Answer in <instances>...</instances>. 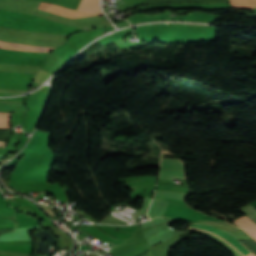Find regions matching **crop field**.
I'll list each match as a JSON object with an SVG mask.
<instances>
[{"instance_id": "8a807250", "label": "crop field", "mask_w": 256, "mask_h": 256, "mask_svg": "<svg viewBox=\"0 0 256 256\" xmlns=\"http://www.w3.org/2000/svg\"><path fill=\"white\" fill-rule=\"evenodd\" d=\"M190 227L196 228V229L205 230V231H209V232H211V233H213V234H216V235H218V236L224 238V239H225L226 241H228L231 245H233L239 252H241L244 256L247 255V254H249V253H251V252H249L244 246H242L239 242H237L234 238H232L230 235L226 234L225 232H223V231H221V230H218V229L212 227L211 225H193V224H192ZM192 228H190V229H192ZM196 229H194V230H196ZM201 230H199V231H201ZM205 231H203V232H205ZM209 232H206V233H208V234H210V235H212V236H214V237H216V238H218V239H220V240L226 242L224 239H222V238H220V237H218V236H216V235H213V234H211V233H209ZM228 242H226V243H227L229 246H231ZM231 247H232V246H231ZM234 247H232V248H233L237 253H239ZM239 254H240V253H239ZM242 254H240V255L243 256ZM247 256H254V255L251 253V254H249V255H247Z\"/></svg>"}, {"instance_id": "e52e79f7", "label": "crop field", "mask_w": 256, "mask_h": 256, "mask_svg": "<svg viewBox=\"0 0 256 256\" xmlns=\"http://www.w3.org/2000/svg\"><path fill=\"white\" fill-rule=\"evenodd\" d=\"M154 197H167V198H175V199L183 200L186 197V195L185 194H178V193H174V192L156 191Z\"/></svg>"}, {"instance_id": "dd49c442", "label": "crop field", "mask_w": 256, "mask_h": 256, "mask_svg": "<svg viewBox=\"0 0 256 256\" xmlns=\"http://www.w3.org/2000/svg\"><path fill=\"white\" fill-rule=\"evenodd\" d=\"M241 228L251 229L256 231V225L246 216L234 221Z\"/></svg>"}, {"instance_id": "28ad6ade", "label": "crop field", "mask_w": 256, "mask_h": 256, "mask_svg": "<svg viewBox=\"0 0 256 256\" xmlns=\"http://www.w3.org/2000/svg\"><path fill=\"white\" fill-rule=\"evenodd\" d=\"M5 143H6V142L0 141V146H3V147H4Z\"/></svg>"}, {"instance_id": "3316defc", "label": "crop field", "mask_w": 256, "mask_h": 256, "mask_svg": "<svg viewBox=\"0 0 256 256\" xmlns=\"http://www.w3.org/2000/svg\"><path fill=\"white\" fill-rule=\"evenodd\" d=\"M243 231L246 232L249 236H251L256 241V232L245 231V230H243Z\"/></svg>"}, {"instance_id": "f4fd0767", "label": "crop field", "mask_w": 256, "mask_h": 256, "mask_svg": "<svg viewBox=\"0 0 256 256\" xmlns=\"http://www.w3.org/2000/svg\"><path fill=\"white\" fill-rule=\"evenodd\" d=\"M160 168L184 170V164L181 160L161 159Z\"/></svg>"}, {"instance_id": "ac0d7876", "label": "crop field", "mask_w": 256, "mask_h": 256, "mask_svg": "<svg viewBox=\"0 0 256 256\" xmlns=\"http://www.w3.org/2000/svg\"><path fill=\"white\" fill-rule=\"evenodd\" d=\"M0 48L25 51V52H47L50 49H52L50 47L17 45V44H12V43L3 42V41H0Z\"/></svg>"}, {"instance_id": "412701ff", "label": "crop field", "mask_w": 256, "mask_h": 256, "mask_svg": "<svg viewBox=\"0 0 256 256\" xmlns=\"http://www.w3.org/2000/svg\"><path fill=\"white\" fill-rule=\"evenodd\" d=\"M158 178H165V179L180 178V179H186L184 171L166 170V169H160Z\"/></svg>"}, {"instance_id": "34b2d1b8", "label": "crop field", "mask_w": 256, "mask_h": 256, "mask_svg": "<svg viewBox=\"0 0 256 256\" xmlns=\"http://www.w3.org/2000/svg\"><path fill=\"white\" fill-rule=\"evenodd\" d=\"M79 11L102 14L98 0H82Z\"/></svg>"}, {"instance_id": "5a996713", "label": "crop field", "mask_w": 256, "mask_h": 256, "mask_svg": "<svg viewBox=\"0 0 256 256\" xmlns=\"http://www.w3.org/2000/svg\"><path fill=\"white\" fill-rule=\"evenodd\" d=\"M0 127L9 128V113H0Z\"/></svg>"}, {"instance_id": "d8731c3e", "label": "crop field", "mask_w": 256, "mask_h": 256, "mask_svg": "<svg viewBox=\"0 0 256 256\" xmlns=\"http://www.w3.org/2000/svg\"><path fill=\"white\" fill-rule=\"evenodd\" d=\"M51 19L55 20L57 22L63 23V22H70V21H79V20H84V19H78V18H72V17H66V16H60V15H54L50 14Z\"/></svg>"}]
</instances>
